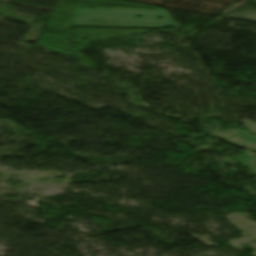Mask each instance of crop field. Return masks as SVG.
<instances>
[{
	"label": "crop field",
	"mask_w": 256,
	"mask_h": 256,
	"mask_svg": "<svg viewBox=\"0 0 256 256\" xmlns=\"http://www.w3.org/2000/svg\"><path fill=\"white\" fill-rule=\"evenodd\" d=\"M237 134L241 136L244 140L239 143H235L236 145L250 148L249 146H252L250 149L256 150V136H250L243 130H236Z\"/></svg>",
	"instance_id": "crop-field-1"
}]
</instances>
